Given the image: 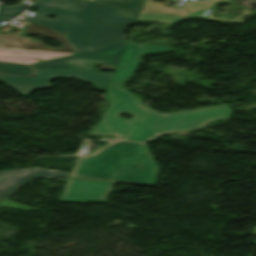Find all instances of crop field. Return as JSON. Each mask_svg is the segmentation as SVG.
<instances>
[{
  "mask_svg": "<svg viewBox=\"0 0 256 256\" xmlns=\"http://www.w3.org/2000/svg\"><path fill=\"white\" fill-rule=\"evenodd\" d=\"M0 72L12 75L33 76L34 69L30 66L0 62Z\"/></svg>",
  "mask_w": 256,
  "mask_h": 256,
  "instance_id": "obj_13",
  "label": "crop field"
},
{
  "mask_svg": "<svg viewBox=\"0 0 256 256\" xmlns=\"http://www.w3.org/2000/svg\"><path fill=\"white\" fill-rule=\"evenodd\" d=\"M127 41L98 48L91 52L80 53L61 59L51 60L33 66L35 69H67V70H93L95 67L90 65L93 63H105L118 65L120 61V53L123 51ZM89 64V66H84Z\"/></svg>",
  "mask_w": 256,
  "mask_h": 256,
  "instance_id": "obj_7",
  "label": "crop field"
},
{
  "mask_svg": "<svg viewBox=\"0 0 256 256\" xmlns=\"http://www.w3.org/2000/svg\"><path fill=\"white\" fill-rule=\"evenodd\" d=\"M111 76L91 71H36V78L0 73V81L26 98L35 89L51 87L49 81L55 77H77L79 80L91 83L95 88L105 91Z\"/></svg>",
  "mask_w": 256,
  "mask_h": 256,
  "instance_id": "obj_6",
  "label": "crop field"
},
{
  "mask_svg": "<svg viewBox=\"0 0 256 256\" xmlns=\"http://www.w3.org/2000/svg\"><path fill=\"white\" fill-rule=\"evenodd\" d=\"M64 55L69 54L0 49V61H11L25 64L38 62L36 58L46 60Z\"/></svg>",
  "mask_w": 256,
  "mask_h": 256,
  "instance_id": "obj_10",
  "label": "crop field"
},
{
  "mask_svg": "<svg viewBox=\"0 0 256 256\" xmlns=\"http://www.w3.org/2000/svg\"><path fill=\"white\" fill-rule=\"evenodd\" d=\"M38 11L25 20L50 26L64 32L76 52L86 51L95 16V3L81 0H39L33 5ZM47 15L56 16L55 19Z\"/></svg>",
  "mask_w": 256,
  "mask_h": 256,
  "instance_id": "obj_3",
  "label": "crop field"
},
{
  "mask_svg": "<svg viewBox=\"0 0 256 256\" xmlns=\"http://www.w3.org/2000/svg\"><path fill=\"white\" fill-rule=\"evenodd\" d=\"M248 14H254L251 13L249 11L243 10V14L241 16H239L238 18L234 19V20H228V19H220L222 21H227V22H233V23H239V22H243L245 20L241 19L243 16L248 15ZM201 18H212V19H218V18H214V14L213 13H208L205 17H201Z\"/></svg>",
  "mask_w": 256,
  "mask_h": 256,
  "instance_id": "obj_18",
  "label": "crop field"
},
{
  "mask_svg": "<svg viewBox=\"0 0 256 256\" xmlns=\"http://www.w3.org/2000/svg\"><path fill=\"white\" fill-rule=\"evenodd\" d=\"M68 175L69 172L53 171L42 167H33L0 173V200L33 178L60 177Z\"/></svg>",
  "mask_w": 256,
  "mask_h": 256,
  "instance_id": "obj_9",
  "label": "crop field"
},
{
  "mask_svg": "<svg viewBox=\"0 0 256 256\" xmlns=\"http://www.w3.org/2000/svg\"><path fill=\"white\" fill-rule=\"evenodd\" d=\"M144 8L185 15L184 10L170 9V8L164 7L162 4L154 3L151 0L146 1Z\"/></svg>",
  "mask_w": 256,
  "mask_h": 256,
  "instance_id": "obj_16",
  "label": "crop field"
},
{
  "mask_svg": "<svg viewBox=\"0 0 256 256\" xmlns=\"http://www.w3.org/2000/svg\"><path fill=\"white\" fill-rule=\"evenodd\" d=\"M104 4L140 11L144 0H91Z\"/></svg>",
  "mask_w": 256,
  "mask_h": 256,
  "instance_id": "obj_14",
  "label": "crop field"
},
{
  "mask_svg": "<svg viewBox=\"0 0 256 256\" xmlns=\"http://www.w3.org/2000/svg\"><path fill=\"white\" fill-rule=\"evenodd\" d=\"M146 144L114 141L78 157L59 201L106 203L114 181L155 186L159 168Z\"/></svg>",
  "mask_w": 256,
  "mask_h": 256,
  "instance_id": "obj_1",
  "label": "crop field"
},
{
  "mask_svg": "<svg viewBox=\"0 0 256 256\" xmlns=\"http://www.w3.org/2000/svg\"><path fill=\"white\" fill-rule=\"evenodd\" d=\"M198 123L201 126V128H203L207 122H198Z\"/></svg>",
  "mask_w": 256,
  "mask_h": 256,
  "instance_id": "obj_20",
  "label": "crop field"
},
{
  "mask_svg": "<svg viewBox=\"0 0 256 256\" xmlns=\"http://www.w3.org/2000/svg\"><path fill=\"white\" fill-rule=\"evenodd\" d=\"M184 17L185 16H182V15L142 9L137 22L155 21V22L170 24Z\"/></svg>",
  "mask_w": 256,
  "mask_h": 256,
  "instance_id": "obj_11",
  "label": "crop field"
},
{
  "mask_svg": "<svg viewBox=\"0 0 256 256\" xmlns=\"http://www.w3.org/2000/svg\"><path fill=\"white\" fill-rule=\"evenodd\" d=\"M127 106H128V105H127ZM127 106H125L124 108H126ZM124 108H123V109H124ZM123 109H122V110H123ZM122 110H121V111H122ZM121 111H120L119 114L115 117V123L117 122L118 119H120L119 115H120ZM115 129H116V128H115ZM115 139H116V138H115Z\"/></svg>",
  "mask_w": 256,
  "mask_h": 256,
  "instance_id": "obj_19",
  "label": "crop field"
},
{
  "mask_svg": "<svg viewBox=\"0 0 256 256\" xmlns=\"http://www.w3.org/2000/svg\"><path fill=\"white\" fill-rule=\"evenodd\" d=\"M139 13L98 3L89 48L127 39L126 26L135 24Z\"/></svg>",
  "mask_w": 256,
  "mask_h": 256,
  "instance_id": "obj_5",
  "label": "crop field"
},
{
  "mask_svg": "<svg viewBox=\"0 0 256 256\" xmlns=\"http://www.w3.org/2000/svg\"><path fill=\"white\" fill-rule=\"evenodd\" d=\"M165 45H148L140 46L129 41L111 81V84L105 94V98L111 102L109 108L103 114V118L94 128L90 135H115L114 117L126 104L140 103L138 98L129 94L126 90L121 88L123 81L127 80L138 65V57L141 54L151 52H163L167 50Z\"/></svg>",
  "mask_w": 256,
  "mask_h": 256,
  "instance_id": "obj_4",
  "label": "crop field"
},
{
  "mask_svg": "<svg viewBox=\"0 0 256 256\" xmlns=\"http://www.w3.org/2000/svg\"><path fill=\"white\" fill-rule=\"evenodd\" d=\"M0 206H11V207H14V208H17V209H20V210H40V208H31V207L22 205L18 202H15V201H12V200H7V199L3 200L0 203Z\"/></svg>",
  "mask_w": 256,
  "mask_h": 256,
  "instance_id": "obj_17",
  "label": "crop field"
},
{
  "mask_svg": "<svg viewBox=\"0 0 256 256\" xmlns=\"http://www.w3.org/2000/svg\"><path fill=\"white\" fill-rule=\"evenodd\" d=\"M25 7V4L8 7L0 3V22L7 19V17H14L15 15L21 14Z\"/></svg>",
  "mask_w": 256,
  "mask_h": 256,
  "instance_id": "obj_15",
  "label": "crop field"
},
{
  "mask_svg": "<svg viewBox=\"0 0 256 256\" xmlns=\"http://www.w3.org/2000/svg\"><path fill=\"white\" fill-rule=\"evenodd\" d=\"M96 152V151H95ZM95 152H93L92 154H95Z\"/></svg>",
  "mask_w": 256,
  "mask_h": 256,
  "instance_id": "obj_22",
  "label": "crop field"
},
{
  "mask_svg": "<svg viewBox=\"0 0 256 256\" xmlns=\"http://www.w3.org/2000/svg\"><path fill=\"white\" fill-rule=\"evenodd\" d=\"M133 113L134 119L117 123V139L148 142L162 134L201 129L198 121H212L233 115L227 105L198 108L194 111L165 114L143 104H135L122 111Z\"/></svg>",
  "mask_w": 256,
  "mask_h": 256,
  "instance_id": "obj_2",
  "label": "crop field"
},
{
  "mask_svg": "<svg viewBox=\"0 0 256 256\" xmlns=\"http://www.w3.org/2000/svg\"><path fill=\"white\" fill-rule=\"evenodd\" d=\"M26 33L42 34L54 38L63 43L60 49L49 48L40 42H30V38H19V35H0V48L60 52V53H75L63 34H60L48 27L35 25L30 22L26 25Z\"/></svg>",
  "mask_w": 256,
  "mask_h": 256,
  "instance_id": "obj_8",
  "label": "crop field"
},
{
  "mask_svg": "<svg viewBox=\"0 0 256 256\" xmlns=\"http://www.w3.org/2000/svg\"><path fill=\"white\" fill-rule=\"evenodd\" d=\"M216 0L209 1H195L193 3L186 4L189 18L200 17L205 14L208 9H212Z\"/></svg>",
  "mask_w": 256,
  "mask_h": 256,
  "instance_id": "obj_12",
  "label": "crop field"
},
{
  "mask_svg": "<svg viewBox=\"0 0 256 256\" xmlns=\"http://www.w3.org/2000/svg\"><path fill=\"white\" fill-rule=\"evenodd\" d=\"M252 234H256V227H253ZM254 243H256V241Z\"/></svg>",
  "mask_w": 256,
  "mask_h": 256,
  "instance_id": "obj_21",
  "label": "crop field"
}]
</instances>
